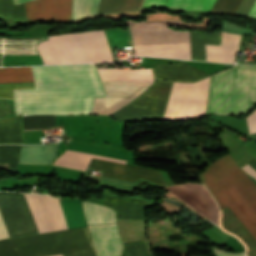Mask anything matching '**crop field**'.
Segmentation results:
<instances>
[{"label":"crop field","instance_id":"28ad6ade","mask_svg":"<svg viewBox=\"0 0 256 256\" xmlns=\"http://www.w3.org/2000/svg\"><path fill=\"white\" fill-rule=\"evenodd\" d=\"M101 0H73L72 20L96 14ZM142 0H102L96 15L139 11Z\"/></svg>","mask_w":256,"mask_h":256},{"label":"crop field","instance_id":"22f410ed","mask_svg":"<svg viewBox=\"0 0 256 256\" xmlns=\"http://www.w3.org/2000/svg\"><path fill=\"white\" fill-rule=\"evenodd\" d=\"M171 83L155 79V84L149 90L127 106L146 109L143 120L161 119Z\"/></svg>","mask_w":256,"mask_h":256},{"label":"crop field","instance_id":"bc2a9ffb","mask_svg":"<svg viewBox=\"0 0 256 256\" xmlns=\"http://www.w3.org/2000/svg\"><path fill=\"white\" fill-rule=\"evenodd\" d=\"M30 195L32 197L33 203H34L35 208L37 210V213H38V216H39L40 221L42 223L44 231L45 232H50V231H55V230L57 231L58 229H57L56 222H55V219H54V216H53V213H52V209H51V206H50V203H49L48 196L47 195H41L42 198H43V201L45 203V206L47 208V211H48V213L50 215V218L52 220V223L54 225L55 230L53 228V225H52L51 220L49 218V215H48V213L46 211V208L44 206V203L42 201L41 196L40 195H36V194H30ZM30 195L29 194H25L26 199H27L28 204H29V207H30L31 212L33 214V217L35 219L36 225L38 227V230H39L40 233H42L44 231L42 229L41 223H40L39 218L37 216V213H36V210H35L34 205L32 203Z\"/></svg>","mask_w":256,"mask_h":256},{"label":"crop field","instance_id":"bd1437ed","mask_svg":"<svg viewBox=\"0 0 256 256\" xmlns=\"http://www.w3.org/2000/svg\"><path fill=\"white\" fill-rule=\"evenodd\" d=\"M122 256H153L147 241L124 244Z\"/></svg>","mask_w":256,"mask_h":256},{"label":"crop field","instance_id":"eef30255","mask_svg":"<svg viewBox=\"0 0 256 256\" xmlns=\"http://www.w3.org/2000/svg\"><path fill=\"white\" fill-rule=\"evenodd\" d=\"M88 224L116 223L114 211L90 202H83Z\"/></svg>","mask_w":256,"mask_h":256},{"label":"crop field","instance_id":"e1f06a70","mask_svg":"<svg viewBox=\"0 0 256 256\" xmlns=\"http://www.w3.org/2000/svg\"><path fill=\"white\" fill-rule=\"evenodd\" d=\"M166 0H145L143 6L165 5Z\"/></svg>","mask_w":256,"mask_h":256},{"label":"crop field","instance_id":"00972430","mask_svg":"<svg viewBox=\"0 0 256 256\" xmlns=\"http://www.w3.org/2000/svg\"><path fill=\"white\" fill-rule=\"evenodd\" d=\"M221 32L190 31L192 59L206 61L204 44L220 45Z\"/></svg>","mask_w":256,"mask_h":256},{"label":"crop field","instance_id":"c21b1889","mask_svg":"<svg viewBox=\"0 0 256 256\" xmlns=\"http://www.w3.org/2000/svg\"><path fill=\"white\" fill-rule=\"evenodd\" d=\"M247 17L256 19V2L254 4V6L252 7V9L250 10Z\"/></svg>","mask_w":256,"mask_h":256},{"label":"crop field","instance_id":"f4fd0767","mask_svg":"<svg viewBox=\"0 0 256 256\" xmlns=\"http://www.w3.org/2000/svg\"><path fill=\"white\" fill-rule=\"evenodd\" d=\"M20 256H52L92 248L88 228H78L46 234L9 239ZM63 256H96L94 250Z\"/></svg>","mask_w":256,"mask_h":256},{"label":"crop field","instance_id":"dafd665d","mask_svg":"<svg viewBox=\"0 0 256 256\" xmlns=\"http://www.w3.org/2000/svg\"><path fill=\"white\" fill-rule=\"evenodd\" d=\"M239 38L238 35L222 32L221 46L205 45L207 61L233 63Z\"/></svg>","mask_w":256,"mask_h":256},{"label":"crop field","instance_id":"4a817a6b","mask_svg":"<svg viewBox=\"0 0 256 256\" xmlns=\"http://www.w3.org/2000/svg\"><path fill=\"white\" fill-rule=\"evenodd\" d=\"M102 204L113 208L117 213V219L145 220V201L119 199L106 195Z\"/></svg>","mask_w":256,"mask_h":256},{"label":"crop field","instance_id":"ac0d7876","mask_svg":"<svg viewBox=\"0 0 256 256\" xmlns=\"http://www.w3.org/2000/svg\"><path fill=\"white\" fill-rule=\"evenodd\" d=\"M231 157L230 154L213 163L210 167L220 163L221 161ZM209 167V168H210ZM207 168L219 179L224 174L237 186L240 187L243 194L248 198L252 205L256 208V184L239 168L235 161L231 158L221 162L220 164ZM201 175V181L210 190L220 208L229 207L247 230L256 239V212L246 199L242 196L234 184L225 176L221 180H217L208 170Z\"/></svg>","mask_w":256,"mask_h":256},{"label":"crop field","instance_id":"730fd06b","mask_svg":"<svg viewBox=\"0 0 256 256\" xmlns=\"http://www.w3.org/2000/svg\"><path fill=\"white\" fill-rule=\"evenodd\" d=\"M22 143L21 115L0 120V144Z\"/></svg>","mask_w":256,"mask_h":256},{"label":"crop field","instance_id":"d9b57169","mask_svg":"<svg viewBox=\"0 0 256 256\" xmlns=\"http://www.w3.org/2000/svg\"><path fill=\"white\" fill-rule=\"evenodd\" d=\"M33 81L31 67L0 68V82ZM35 88L34 82L0 83V98L13 99V89Z\"/></svg>","mask_w":256,"mask_h":256},{"label":"crop field","instance_id":"3316defc","mask_svg":"<svg viewBox=\"0 0 256 256\" xmlns=\"http://www.w3.org/2000/svg\"><path fill=\"white\" fill-rule=\"evenodd\" d=\"M165 188L218 225L217 204L203 185L185 183Z\"/></svg>","mask_w":256,"mask_h":256},{"label":"crop field","instance_id":"750c4746","mask_svg":"<svg viewBox=\"0 0 256 256\" xmlns=\"http://www.w3.org/2000/svg\"><path fill=\"white\" fill-rule=\"evenodd\" d=\"M0 15L10 22L25 20L23 4L13 6L12 0H0Z\"/></svg>","mask_w":256,"mask_h":256},{"label":"crop field","instance_id":"733c2abd","mask_svg":"<svg viewBox=\"0 0 256 256\" xmlns=\"http://www.w3.org/2000/svg\"><path fill=\"white\" fill-rule=\"evenodd\" d=\"M220 227L236 236L246 247V256H256V241L230 211L229 208L220 210Z\"/></svg>","mask_w":256,"mask_h":256},{"label":"crop field","instance_id":"8a807250","mask_svg":"<svg viewBox=\"0 0 256 256\" xmlns=\"http://www.w3.org/2000/svg\"><path fill=\"white\" fill-rule=\"evenodd\" d=\"M36 89L14 90L16 115L90 114L105 96L96 65L34 66Z\"/></svg>","mask_w":256,"mask_h":256},{"label":"crop field","instance_id":"1d83c4d3","mask_svg":"<svg viewBox=\"0 0 256 256\" xmlns=\"http://www.w3.org/2000/svg\"><path fill=\"white\" fill-rule=\"evenodd\" d=\"M144 111L142 109L124 107L111 115L117 119L125 121H142Z\"/></svg>","mask_w":256,"mask_h":256},{"label":"crop field","instance_id":"120bbe31","mask_svg":"<svg viewBox=\"0 0 256 256\" xmlns=\"http://www.w3.org/2000/svg\"><path fill=\"white\" fill-rule=\"evenodd\" d=\"M49 196V195H48ZM50 203L54 212V216L57 222V226L59 230L68 229L66 225V221L61 209V205L58 198L49 196Z\"/></svg>","mask_w":256,"mask_h":256},{"label":"crop field","instance_id":"dd49c442","mask_svg":"<svg viewBox=\"0 0 256 256\" xmlns=\"http://www.w3.org/2000/svg\"><path fill=\"white\" fill-rule=\"evenodd\" d=\"M103 84L149 87L151 69H98ZM104 85L108 98H95L92 114L110 115L127 105L147 88Z\"/></svg>","mask_w":256,"mask_h":256},{"label":"crop field","instance_id":"5142ce71","mask_svg":"<svg viewBox=\"0 0 256 256\" xmlns=\"http://www.w3.org/2000/svg\"><path fill=\"white\" fill-rule=\"evenodd\" d=\"M88 226L98 256H120L122 244L116 224Z\"/></svg>","mask_w":256,"mask_h":256},{"label":"crop field","instance_id":"d8731c3e","mask_svg":"<svg viewBox=\"0 0 256 256\" xmlns=\"http://www.w3.org/2000/svg\"><path fill=\"white\" fill-rule=\"evenodd\" d=\"M0 212L10 237L38 233L23 193L0 192Z\"/></svg>","mask_w":256,"mask_h":256},{"label":"crop field","instance_id":"ae1a2a85","mask_svg":"<svg viewBox=\"0 0 256 256\" xmlns=\"http://www.w3.org/2000/svg\"><path fill=\"white\" fill-rule=\"evenodd\" d=\"M21 146L22 145L0 146V168L17 172Z\"/></svg>","mask_w":256,"mask_h":256},{"label":"crop field","instance_id":"c035e120","mask_svg":"<svg viewBox=\"0 0 256 256\" xmlns=\"http://www.w3.org/2000/svg\"><path fill=\"white\" fill-rule=\"evenodd\" d=\"M216 253L219 255V256H245V253H240V254H230V253H227V252H223V251H220V250H216Z\"/></svg>","mask_w":256,"mask_h":256},{"label":"crop field","instance_id":"d23c7cc5","mask_svg":"<svg viewBox=\"0 0 256 256\" xmlns=\"http://www.w3.org/2000/svg\"><path fill=\"white\" fill-rule=\"evenodd\" d=\"M34 130V129H33Z\"/></svg>","mask_w":256,"mask_h":256},{"label":"crop field","instance_id":"d32e631a","mask_svg":"<svg viewBox=\"0 0 256 256\" xmlns=\"http://www.w3.org/2000/svg\"><path fill=\"white\" fill-rule=\"evenodd\" d=\"M242 0H217L212 10L235 13Z\"/></svg>","mask_w":256,"mask_h":256},{"label":"crop field","instance_id":"d3111659","mask_svg":"<svg viewBox=\"0 0 256 256\" xmlns=\"http://www.w3.org/2000/svg\"><path fill=\"white\" fill-rule=\"evenodd\" d=\"M216 0H167L166 6L187 10H211Z\"/></svg>","mask_w":256,"mask_h":256},{"label":"crop field","instance_id":"03da06ac","mask_svg":"<svg viewBox=\"0 0 256 256\" xmlns=\"http://www.w3.org/2000/svg\"><path fill=\"white\" fill-rule=\"evenodd\" d=\"M25 1H29V0H14V3L17 4V3H21V2H25Z\"/></svg>","mask_w":256,"mask_h":256},{"label":"crop field","instance_id":"5a996713","mask_svg":"<svg viewBox=\"0 0 256 256\" xmlns=\"http://www.w3.org/2000/svg\"><path fill=\"white\" fill-rule=\"evenodd\" d=\"M180 21H142L128 23L133 45L154 43L190 42L189 31L172 30L166 26H175Z\"/></svg>","mask_w":256,"mask_h":256},{"label":"crop field","instance_id":"cbeb9de0","mask_svg":"<svg viewBox=\"0 0 256 256\" xmlns=\"http://www.w3.org/2000/svg\"><path fill=\"white\" fill-rule=\"evenodd\" d=\"M72 0H33L25 3L27 20L71 21Z\"/></svg>","mask_w":256,"mask_h":256},{"label":"crop field","instance_id":"5d738f31","mask_svg":"<svg viewBox=\"0 0 256 256\" xmlns=\"http://www.w3.org/2000/svg\"><path fill=\"white\" fill-rule=\"evenodd\" d=\"M58 256H61V255H58Z\"/></svg>","mask_w":256,"mask_h":256},{"label":"crop field","instance_id":"412701ff","mask_svg":"<svg viewBox=\"0 0 256 256\" xmlns=\"http://www.w3.org/2000/svg\"><path fill=\"white\" fill-rule=\"evenodd\" d=\"M48 37L37 44L44 64L114 61L103 30Z\"/></svg>","mask_w":256,"mask_h":256},{"label":"crop field","instance_id":"0bd39190","mask_svg":"<svg viewBox=\"0 0 256 256\" xmlns=\"http://www.w3.org/2000/svg\"><path fill=\"white\" fill-rule=\"evenodd\" d=\"M9 237L7 234V231L5 229L4 223L2 221V218L0 216V239Z\"/></svg>","mask_w":256,"mask_h":256},{"label":"crop field","instance_id":"92a150f3","mask_svg":"<svg viewBox=\"0 0 256 256\" xmlns=\"http://www.w3.org/2000/svg\"><path fill=\"white\" fill-rule=\"evenodd\" d=\"M136 55L191 59L190 43L134 46Z\"/></svg>","mask_w":256,"mask_h":256},{"label":"crop field","instance_id":"34b2d1b8","mask_svg":"<svg viewBox=\"0 0 256 256\" xmlns=\"http://www.w3.org/2000/svg\"><path fill=\"white\" fill-rule=\"evenodd\" d=\"M256 102V66L237 65L211 77L206 114L246 112Z\"/></svg>","mask_w":256,"mask_h":256},{"label":"crop field","instance_id":"e52e79f7","mask_svg":"<svg viewBox=\"0 0 256 256\" xmlns=\"http://www.w3.org/2000/svg\"><path fill=\"white\" fill-rule=\"evenodd\" d=\"M209 77L197 83H174L164 119L203 115Z\"/></svg>","mask_w":256,"mask_h":256},{"label":"crop field","instance_id":"214f88e0","mask_svg":"<svg viewBox=\"0 0 256 256\" xmlns=\"http://www.w3.org/2000/svg\"><path fill=\"white\" fill-rule=\"evenodd\" d=\"M153 72L157 78L184 82L195 81L208 75L185 63L159 66Z\"/></svg>","mask_w":256,"mask_h":256},{"label":"crop field","instance_id":"b80d0937","mask_svg":"<svg viewBox=\"0 0 256 256\" xmlns=\"http://www.w3.org/2000/svg\"><path fill=\"white\" fill-rule=\"evenodd\" d=\"M241 169L244 170L247 174H249L250 176H252L253 178L256 179V171L253 170L250 166H248V165L246 164V165L243 166Z\"/></svg>","mask_w":256,"mask_h":256},{"label":"crop field","instance_id":"5866460e","mask_svg":"<svg viewBox=\"0 0 256 256\" xmlns=\"http://www.w3.org/2000/svg\"><path fill=\"white\" fill-rule=\"evenodd\" d=\"M0 256H18L7 239L0 240Z\"/></svg>","mask_w":256,"mask_h":256},{"label":"crop field","instance_id":"028f5c9d","mask_svg":"<svg viewBox=\"0 0 256 256\" xmlns=\"http://www.w3.org/2000/svg\"><path fill=\"white\" fill-rule=\"evenodd\" d=\"M247 124L249 128V132H256V110L252 112L247 118Z\"/></svg>","mask_w":256,"mask_h":256},{"label":"crop field","instance_id":"a9b5d70f","mask_svg":"<svg viewBox=\"0 0 256 256\" xmlns=\"http://www.w3.org/2000/svg\"><path fill=\"white\" fill-rule=\"evenodd\" d=\"M91 157L125 163L124 161L113 160L66 150V152L55 161L54 165L85 171Z\"/></svg>","mask_w":256,"mask_h":256},{"label":"crop field","instance_id":"4177f3b9","mask_svg":"<svg viewBox=\"0 0 256 256\" xmlns=\"http://www.w3.org/2000/svg\"><path fill=\"white\" fill-rule=\"evenodd\" d=\"M55 147L22 148L19 163L50 164L55 156Z\"/></svg>","mask_w":256,"mask_h":256},{"label":"crop field","instance_id":"b54c1fbb","mask_svg":"<svg viewBox=\"0 0 256 256\" xmlns=\"http://www.w3.org/2000/svg\"><path fill=\"white\" fill-rule=\"evenodd\" d=\"M0 66H1V54H0Z\"/></svg>","mask_w":256,"mask_h":256},{"label":"crop field","instance_id":"d1516ede","mask_svg":"<svg viewBox=\"0 0 256 256\" xmlns=\"http://www.w3.org/2000/svg\"><path fill=\"white\" fill-rule=\"evenodd\" d=\"M90 168L105 171V177L122 179L127 181L137 182L139 178L152 181L159 185H167L161 172L140 169L135 166L123 165L109 161L92 158L89 166Z\"/></svg>","mask_w":256,"mask_h":256}]
</instances>
